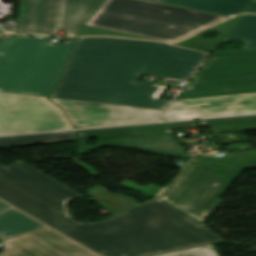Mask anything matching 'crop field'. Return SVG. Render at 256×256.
Masks as SVG:
<instances>
[{
  "mask_svg": "<svg viewBox=\"0 0 256 256\" xmlns=\"http://www.w3.org/2000/svg\"><path fill=\"white\" fill-rule=\"evenodd\" d=\"M74 136L75 131L0 137V148L69 142ZM79 196L24 162L0 165V199L101 256H150L223 240L159 199L100 223H79L66 207Z\"/></svg>",
  "mask_w": 256,
  "mask_h": 256,
  "instance_id": "crop-field-1",
  "label": "crop field"
},
{
  "mask_svg": "<svg viewBox=\"0 0 256 256\" xmlns=\"http://www.w3.org/2000/svg\"><path fill=\"white\" fill-rule=\"evenodd\" d=\"M208 54L162 43L78 38L50 97L166 110L164 86L140 74L189 80Z\"/></svg>",
  "mask_w": 256,
  "mask_h": 256,
  "instance_id": "crop-field-2",
  "label": "crop field"
},
{
  "mask_svg": "<svg viewBox=\"0 0 256 256\" xmlns=\"http://www.w3.org/2000/svg\"><path fill=\"white\" fill-rule=\"evenodd\" d=\"M225 18L145 0H106L85 25L174 42Z\"/></svg>",
  "mask_w": 256,
  "mask_h": 256,
  "instance_id": "crop-field-3",
  "label": "crop field"
},
{
  "mask_svg": "<svg viewBox=\"0 0 256 256\" xmlns=\"http://www.w3.org/2000/svg\"><path fill=\"white\" fill-rule=\"evenodd\" d=\"M14 35L0 43V92L44 96L49 93L75 42Z\"/></svg>",
  "mask_w": 256,
  "mask_h": 256,
  "instance_id": "crop-field-4",
  "label": "crop field"
},
{
  "mask_svg": "<svg viewBox=\"0 0 256 256\" xmlns=\"http://www.w3.org/2000/svg\"><path fill=\"white\" fill-rule=\"evenodd\" d=\"M241 172L193 160L159 199L203 222L222 202L218 197Z\"/></svg>",
  "mask_w": 256,
  "mask_h": 256,
  "instance_id": "crop-field-5",
  "label": "crop field"
},
{
  "mask_svg": "<svg viewBox=\"0 0 256 256\" xmlns=\"http://www.w3.org/2000/svg\"><path fill=\"white\" fill-rule=\"evenodd\" d=\"M256 92V49L213 53L178 100Z\"/></svg>",
  "mask_w": 256,
  "mask_h": 256,
  "instance_id": "crop-field-6",
  "label": "crop field"
},
{
  "mask_svg": "<svg viewBox=\"0 0 256 256\" xmlns=\"http://www.w3.org/2000/svg\"><path fill=\"white\" fill-rule=\"evenodd\" d=\"M104 0H21L17 33L77 36L82 24Z\"/></svg>",
  "mask_w": 256,
  "mask_h": 256,
  "instance_id": "crop-field-7",
  "label": "crop field"
},
{
  "mask_svg": "<svg viewBox=\"0 0 256 256\" xmlns=\"http://www.w3.org/2000/svg\"><path fill=\"white\" fill-rule=\"evenodd\" d=\"M48 98L0 93V134L74 128Z\"/></svg>",
  "mask_w": 256,
  "mask_h": 256,
  "instance_id": "crop-field-8",
  "label": "crop field"
},
{
  "mask_svg": "<svg viewBox=\"0 0 256 256\" xmlns=\"http://www.w3.org/2000/svg\"><path fill=\"white\" fill-rule=\"evenodd\" d=\"M76 128L159 121L164 111L50 98Z\"/></svg>",
  "mask_w": 256,
  "mask_h": 256,
  "instance_id": "crop-field-9",
  "label": "crop field"
},
{
  "mask_svg": "<svg viewBox=\"0 0 256 256\" xmlns=\"http://www.w3.org/2000/svg\"><path fill=\"white\" fill-rule=\"evenodd\" d=\"M3 243L1 256H98L48 227Z\"/></svg>",
  "mask_w": 256,
  "mask_h": 256,
  "instance_id": "crop-field-10",
  "label": "crop field"
},
{
  "mask_svg": "<svg viewBox=\"0 0 256 256\" xmlns=\"http://www.w3.org/2000/svg\"><path fill=\"white\" fill-rule=\"evenodd\" d=\"M256 113V93L182 100L173 103L163 121Z\"/></svg>",
  "mask_w": 256,
  "mask_h": 256,
  "instance_id": "crop-field-11",
  "label": "crop field"
},
{
  "mask_svg": "<svg viewBox=\"0 0 256 256\" xmlns=\"http://www.w3.org/2000/svg\"><path fill=\"white\" fill-rule=\"evenodd\" d=\"M193 126H197L195 121L83 130L78 131V139H90V137H96L98 140H105L129 137L166 135L171 134L170 129Z\"/></svg>",
  "mask_w": 256,
  "mask_h": 256,
  "instance_id": "crop-field-12",
  "label": "crop field"
},
{
  "mask_svg": "<svg viewBox=\"0 0 256 256\" xmlns=\"http://www.w3.org/2000/svg\"><path fill=\"white\" fill-rule=\"evenodd\" d=\"M87 142L88 140H80L78 149L80 154L91 151L101 145L118 144L184 156L183 148L174 142L172 135L98 141L96 145L90 147H87Z\"/></svg>",
  "mask_w": 256,
  "mask_h": 256,
  "instance_id": "crop-field-13",
  "label": "crop field"
},
{
  "mask_svg": "<svg viewBox=\"0 0 256 256\" xmlns=\"http://www.w3.org/2000/svg\"><path fill=\"white\" fill-rule=\"evenodd\" d=\"M164 2L216 12L235 15L241 12L256 13V0H162Z\"/></svg>",
  "mask_w": 256,
  "mask_h": 256,
  "instance_id": "crop-field-14",
  "label": "crop field"
},
{
  "mask_svg": "<svg viewBox=\"0 0 256 256\" xmlns=\"http://www.w3.org/2000/svg\"><path fill=\"white\" fill-rule=\"evenodd\" d=\"M15 209L0 214V240L43 227Z\"/></svg>",
  "mask_w": 256,
  "mask_h": 256,
  "instance_id": "crop-field-15",
  "label": "crop field"
},
{
  "mask_svg": "<svg viewBox=\"0 0 256 256\" xmlns=\"http://www.w3.org/2000/svg\"><path fill=\"white\" fill-rule=\"evenodd\" d=\"M242 40L245 42V49L256 48V16L242 15L222 41Z\"/></svg>",
  "mask_w": 256,
  "mask_h": 256,
  "instance_id": "crop-field-16",
  "label": "crop field"
},
{
  "mask_svg": "<svg viewBox=\"0 0 256 256\" xmlns=\"http://www.w3.org/2000/svg\"><path fill=\"white\" fill-rule=\"evenodd\" d=\"M199 159L215 166L221 167L238 169L256 168V150L232 153L222 158L215 156H203Z\"/></svg>",
  "mask_w": 256,
  "mask_h": 256,
  "instance_id": "crop-field-17",
  "label": "crop field"
},
{
  "mask_svg": "<svg viewBox=\"0 0 256 256\" xmlns=\"http://www.w3.org/2000/svg\"><path fill=\"white\" fill-rule=\"evenodd\" d=\"M239 18H240V16L230 19V20H227V21L209 29V30H213V31H216V32L222 34V36L219 39H207V38H203V37L196 35L188 40H185L183 42H180V43L174 44V45L210 53L216 49L217 45L220 43L222 38L227 34V32L231 29V27L235 24V22Z\"/></svg>",
  "mask_w": 256,
  "mask_h": 256,
  "instance_id": "crop-field-18",
  "label": "crop field"
},
{
  "mask_svg": "<svg viewBox=\"0 0 256 256\" xmlns=\"http://www.w3.org/2000/svg\"><path fill=\"white\" fill-rule=\"evenodd\" d=\"M85 191L92 195L91 199L98 202L99 204H101L102 206H104L105 208H107L108 210L112 211L115 214L139 204L138 202L134 201L133 199L127 196L108 193L98 186L87 189ZM103 201H107L113 206L110 207L106 205L107 203Z\"/></svg>",
  "mask_w": 256,
  "mask_h": 256,
  "instance_id": "crop-field-19",
  "label": "crop field"
},
{
  "mask_svg": "<svg viewBox=\"0 0 256 256\" xmlns=\"http://www.w3.org/2000/svg\"><path fill=\"white\" fill-rule=\"evenodd\" d=\"M201 122L203 125H211L215 133L256 130V116L201 120Z\"/></svg>",
  "mask_w": 256,
  "mask_h": 256,
  "instance_id": "crop-field-20",
  "label": "crop field"
},
{
  "mask_svg": "<svg viewBox=\"0 0 256 256\" xmlns=\"http://www.w3.org/2000/svg\"><path fill=\"white\" fill-rule=\"evenodd\" d=\"M156 256H217L211 245H204L195 248L180 250L176 252Z\"/></svg>",
  "mask_w": 256,
  "mask_h": 256,
  "instance_id": "crop-field-21",
  "label": "crop field"
},
{
  "mask_svg": "<svg viewBox=\"0 0 256 256\" xmlns=\"http://www.w3.org/2000/svg\"><path fill=\"white\" fill-rule=\"evenodd\" d=\"M91 35H106V36H119V37H129V38H139V39H145L137 36H132L124 33H117L112 32L108 30L93 28V27H87L84 26L79 36H91Z\"/></svg>",
  "mask_w": 256,
  "mask_h": 256,
  "instance_id": "crop-field-22",
  "label": "crop field"
},
{
  "mask_svg": "<svg viewBox=\"0 0 256 256\" xmlns=\"http://www.w3.org/2000/svg\"><path fill=\"white\" fill-rule=\"evenodd\" d=\"M6 204V203H5ZM4 203H2V202H0V213L1 212H3V211H5V210H7V209H9V208H11V207H9V206H7V205H5Z\"/></svg>",
  "mask_w": 256,
  "mask_h": 256,
  "instance_id": "crop-field-23",
  "label": "crop field"
},
{
  "mask_svg": "<svg viewBox=\"0 0 256 256\" xmlns=\"http://www.w3.org/2000/svg\"><path fill=\"white\" fill-rule=\"evenodd\" d=\"M10 36H12V35H11V34L1 35V36H0V42L3 41V40H5L6 38H8V37H10Z\"/></svg>",
  "mask_w": 256,
  "mask_h": 256,
  "instance_id": "crop-field-24",
  "label": "crop field"
},
{
  "mask_svg": "<svg viewBox=\"0 0 256 256\" xmlns=\"http://www.w3.org/2000/svg\"><path fill=\"white\" fill-rule=\"evenodd\" d=\"M3 31L0 30V33H2Z\"/></svg>",
  "mask_w": 256,
  "mask_h": 256,
  "instance_id": "crop-field-25",
  "label": "crop field"
},
{
  "mask_svg": "<svg viewBox=\"0 0 256 256\" xmlns=\"http://www.w3.org/2000/svg\"><path fill=\"white\" fill-rule=\"evenodd\" d=\"M159 1H161V0H159Z\"/></svg>",
  "mask_w": 256,
  "mask_h": 256,
  "instance_id": "crop-field-26",
  "label": "crop field"
}]
</instances>
